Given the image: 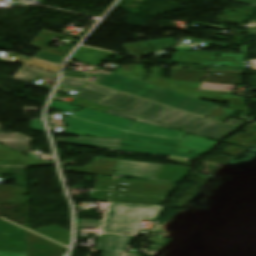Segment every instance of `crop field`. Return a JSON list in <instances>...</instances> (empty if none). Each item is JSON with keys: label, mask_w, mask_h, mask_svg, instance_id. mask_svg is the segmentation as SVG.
Wrapping results in <instances>:
<instances>
[{"label": "crop field", "mask_w": 256, "mask_h": 256, "mask_svg": "<svg viewBox=\"0 0 256 256\" xmlns=\"http://www.w3.org/2000/svg\"><path fill=\"white\" fill-rule=\"evenodd\" d=\"M49 107L68 112L74 109L79 110V107L55 101H52ZM68 122V134L122 139L121 144L125 145L205 154L218 144V142L189 135L181 138L185 133L86 109L68 118ZM156 143L176 147L161 146Z\"/></svg>", "instance_id": "1"}, {"label": "crop field", "mask_w": 256, "mask_h": 256, "mask_svg": "<svg viewBox=\"0 0 256 256\" xmlns=\"http://www.w3.org/2000/svg\"><path fill=\"white\" fill-rule=\"evenodd\" d=\"M74 96L110 108L105 111V113L133 121L161 126L166 129L178 130L141 119L145 118L179 128L190 133L197 135L201 134V136L219 141L223 140L229 134L246 123L233 118L223 125L212 121L208 122V120L99 87L91 83L85 86L81 92H77Z\"/></svg>", "instance_id": "2"}, {"label": "crop field", "mask_w": 256, "mask_h": 256, "mask_svg": "<svg viewBox=\"0 0 256 256\" xmlns=\"http://www.w3.org/2000/svg\"><path fill=\"white\" fill-rule=\"evenodd\" d=\"M96 84L205 117L219 105L100 70Z\"/></svg>", "instance_id": "3"}, {"label": "crop field", "mask_w": 256, "mask_h": 256, "mask_svg": "<svg viewBox=\"0 0 256 256\" xmlns=\"http://www.w3.org/2000/svg\"><path fill=\"white\" fill-rule=\"evenodd\" d=\"M175 185L115 177L109 202L159 205Z\"/></svg>", "instance_id": "4"}, {"label": "crop field", "mask_w": 256, "mask_h": 256, "mask_svg": "<svg viewBox=\"0 0 256 256\" xmlns=\"http://www.w3.org/2000/svg\"><path fill=\"white\" fill-rule=\"evenodd\" d=\"M162 208L111 203L102 232L133 235L142 220L153 221Z\"/></svg>", "instance_id": "5"}, {"label": "crop field", "mask_w": 256, "mask_h": 256, "mask_svg": "<svg viewBox=\"0 0 256 256\" xmlns=\"http://www.w3.org/2000/svg\"><path fill=\"white\" fill-rule=\"evenodd\" d=\"M0 251L27 253V231L6 221L0 222Z\"/></svg>", "instance_id": "6"}, {"label": "crop field", "mask_w": 256, "mask_h": 256, "mask_svg": "<svg viewBox=\"0 0 256 256\" xmlns=\"http://www.w3.org/2000/svg\"><path fill=\"white\" fill-rule=\"evenodd\" d=\"M161 165L118 159L114 176L151 179Z\"/></svg>", "instance_id": "7"}, {"label": "crop field", "mask_w": 256, "mask_h": 256, "mask_svg": "<svg viewBox=\"0 0 256 256\" xmlns=\"http://www.w3.org/2000/svg\"><path fill=\"white\" fill-rule=\"evenodd\" d=\"M67 249L28 232V256H64Z\"/></svg>", "instance_id": "8"}, {"label": "crop field", "mask_w": 256, "mask_h": 256, "mask_svg": "<svg viewBox=\"0 0 256 256\" xmlns=\"http://www.w3.org/2000/svg\"><path fill=\"white\" fill-rule=\"evenodd\" d=\"M133 237L104 234L97 238L95 249L103 250L102 256H122Z\"/></svg>", "instance_id": "9"}, {"label": "crop field", "mask_w": 256, "mask_h": 256, "mask_svg": "<svg viewBox=\"0 0 256 256\" xmlns=\"http://www.w3.org/2000/svg\"><path fill=\"white\" fill-rule=\"evenodd\" d=\"M190 169L184 166L162 165L151 180L178 183Z\"/></svg>", "instance_id": "10"}, {"label": "crop field", "mask_w": 256, "mask_h": 256, "mask_svg": "<svg viewBox=\"0 0 256 256\" xmlns=\"http://www.w3.org/2000/svg\"><path fill=\"white\" fill-rule=\"evenodd\" d=\"M53 37L64 39L65 35L42 30L41 33L37 36V38L32 43V46L46 52H50L56 55L66 57L69 53L68 51H71L75 45L69 44L68 47L65 48L64 50H62L64 47L60 49L47 48V45L50 43L49 41Z\"/></svg>", "instance_id": "11"}, {"label": "crop field", "mask_w": 256, "mask_h": 256, "mask_svg": "<svg viewBox=\"0 0 256 256\" xmlns=\"http://www.w3.org/2000/svg\"><path fill=\"white\" fill-rule=\"evenodd\" d=\"M58 142L91 145L119 150L121 140L79 136L78 139H58Z\"/></svg>", "instance_id": "12"}, {"label": "crop field", "mask_w": 256, "mask_h": 256, "mask_svg": "<svg viewBox=\"0 0 256 256\" xmlns=\"http://www.w3.org/2000/svg\"><path fill=\"white\" fill-rule=\"evenodd\" d=\"M0 144L18 152H28L29 139L17 134H4L0 129Z\"/></svg>", "instance_id": "13"}, {"label": "crop field", "mask_w": 256, "mask_h": 256, "mask_svg": "<svg viewBox=\"0 0 256 256\" xmlns=\"http://www.w3.org/2000/svg\"><path fill=\"white\" fill-rule=\"evenodd\" d=\"M27 165L26 156L0 145V166Z\"/></svg>", "instance_id": "14"}, {"label": "crop field", "mask_w": 256, "mask_h": 256, "mask_svg": "<svg viewBox=\"0 0 256 256\" xmlns=\"http://www.w3.org/2000/svg\"><path fill=\"white\" fill-rule=\"evenodd\" d=\"M37 77H47V78H53L56 79L57 74L29 68L23 66L13 77L12 79L22 81V82H29Z\"/></svg>", "instance_id": "15"}, {"label": "crop field", "mask_w": 256, "mask_h": 256, "mask_svg": "<svg viewBox=\"0 0 256 256\" xmlns=\"http://www.w3.org/2000/svg\"><path fill=\"white\" fill-rule=\"evenodd\" d=\"M34 231L62 244L68 245L70 232L60 227L52 225Z\"/></svg>", "instance_id": "16"}, {"label": "crop field", "mask_w": 256, "mask_h": 256, "mask_svg": "<svg viewBox=\"0 0 256 256\" xmlns=\"http://www.w3.org/2000/svg\"><path fill=\"white\" fill-rule=\"evenodd\" d=\"M120 151L163 155V156H173V157H183V158H189V159H193L195 156H197L196 154H192V153L183 154V153H177V152L154 150V149L132 147V146H125V145H121Z\"/></svg>", "instance_id": "17"}, {"label": "crop field", "mask_w": 256, "mask_h": 256, "mask_svg": "<svg viewBox=\"0 0 256 256\" xmlns=\"http://www.w3.org/2000/svg\"><path fill=\"white\" fill-rule=\"evenodd\" d=\"M114 177L96 176L95 184L93 189L110 190Z\"/></svg>", "instance_id": "18"}, {"label": "crop field", "mask_w": 256, "mask_h": 256, "mask_svg": "<svg viewBox=\"0 0 256 256\" xmlns=\"http://www.w3.org/2000/svg\"><path fill=\"white\" fill-rule=\"evenodd\" d=\"M34 58L41 59V60L51 62V63H54V64H58V65H62V62L64 60L63 57L56 56V55L46 53V52H43V51H41L36 56H34Z\"/></svg>", "instance_id": "19"}, {"label": "crop field", "mask_w": 256, "mask_h": 256, "mask_svg": "<svg viewBox=\"0 0 256 256\" xmlns=\"http://www.w3.org/2000/svg\"><path fill=\"white\" fill-rule=\"evenodd\" d=\"M87 83H88L87 81L82 80V79H66V78H63L62 83L59 87L77 89L80 86H84Z\"/></svg>", "instance_id": "20"}, {"label": "crop field", "mask_w": 256, "mask_h": 256, "mask_svg": "<svg viewBox=\"0 0 256 256\" xmlns=\"http://www.w3.org/2000/svg\"><path fill=\"white\" fill-rule=\"evenodd\" d=\"M236 86L204 83L203 89L234 91Z\"/></svg>", "instance_id": "21"}, {"label": "crop field", "mask_w": 256, "mask_h": 256, "mask_svg": "<svg viewBox=\"0 0 256 256\" xmlns=\"http://www.w3.org/2000/svg\"><path fill=\"white\" fill-rule=\"evenodd\" d=\"M110 191L92 190L90 199L108 201Z\"/></svg>", "instance_id": "22"}, {"label": "crop field", "mask_w": 256, "mask_h": 256, "mask_svg": "<svg viewBox=\"0 0 256 256\" xmlns=\"http://www.w3.org/2000/svg\"><path fill=\"white\" fill-rule=\"evenodd\" d=\"M102 221L77 219V226L99 228Z\"/></svg>", "instance_id": "23"}, {"label": "crop field", "mask_w": 256, "mask_h": 256, "mask_svg": "<svg viewBox=\"0 0 256 256\" xmlns=\"http://www.w3.org/2000/svg\"><path fill=\"white\" fill-rule=\"evenodd\" d=\"M121 68L127 69V68H128V65L122 66ZM121 71H122V69H119L117 73L122 74ZM159 72H160V68L152 67V71H151V75H152V76L158 77V76H159Z\"/></svg>", "instance_id": "24"}, {"label": "crop field", "mask_w": 256, "mask_h": 256, "mask_svg": "<svg viewBox=\"0 0 256 256\" xmlns=\"http://www.w3.org/2000/svg\"><path fill=\"white\" fill-rule=\"evenodd\" d=\"M63 76L85 78V79L87 78L85 74H76V73H70V72H65Z\"/></svg>", "instance_id": "25"}, {"label": "crop field", "mask_w": 256, "mask_h": 256, "mask_svg": "<svg viewBox=\"0 0 256 256\" xmlns=\"http://www.w3.org/2000/svg\"><path fill=\"white\" fill-rule=\"evenodd\" d=\"M0 256H27V254L0 252Z\"/></svg>", "instance_id": "26"}, {"label": "crop field", "mask_w": 256, "mask_h": 256, "mask_svg": "<svg viewBox=\"0 0 256 256\" xmlns=\"http://www.w3.org/2000/svg\"><path fill=\"white\" fill-rule=\"evenodd\" d=\"M237 1L256 6V0H237Z\"/></svg>", "instance_id": "27"}, {"label": "crop field", "mask_w": 256, "mask_h": 256, "mask_svg": "<svg viewBox=\"0 0 256 256\" xmlns=\"http://www.w3.org/2000/svg\"><path fill=\"white\" fill-rule=\"evenodd\" d=\"M148 43L147 42H143V43H135V45L134 44H132V46L133 47H137V46H142V45H147Z\"/></svg>", "instance_id": "28"}, {"label": "crop field", "mask_w": 256, "mask_h": 256, "mask_svg": "<svg viewBox=\"0 0 256 256\" xmlns=\"http://www.w3.org/2000/svg\"><path fill=\"white\" fill-rule=\"evenodd\" d=\"M57 91L68 94L70 90L60 89V90H57Z\"/></svg>", "instance_id": "29"}, {"label": "crop field", "mask_w": 256, "mask_h": 256, "mask_svg": "<svg viewBox=\"0 0 256 256\" xmlns=\"http://www.w3.org/2000/svg\"><path fill=\"white\" fill-rule=\"evenodd\" d=\"M125 256H142V255L125 254Z\"/></svg>", "instance_id": "30"}]
</instances>
